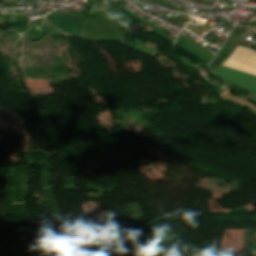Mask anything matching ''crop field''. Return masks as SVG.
Here are the masks:
<instances>
[{"label": "crop field", "mask_w": 256, "mask_h": 256, "mask_svg": "<svg viewBox=\"0 0 256 256\" xmlns=\"http://www.w3.org/2000/svg\"><path fill=\"white\" fill-rule=\"evenodd\" d=\"M222 65L256 75V51L238 46ZM224 66L220 65L214 74L254 93L250 100L256 102V76Z\"/></svg>", "instance_id": "1"}]
</instances>
